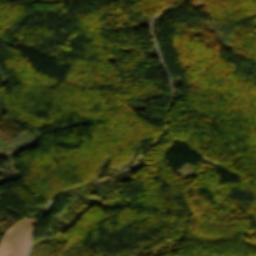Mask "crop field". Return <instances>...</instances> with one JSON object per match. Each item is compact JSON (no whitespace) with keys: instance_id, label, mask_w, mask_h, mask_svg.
<instances>
[{"instance_id":"crop-field-1","label":"crop field","mask_w":256,"mask_h":256,"mask_svg":"<svg viewBox=\"0 0 256 256\" xmlns=\"http://www.w3.org/2000/svg\"><path fill=\"white\" fill-rule=\"evenodd\" d=\"M35 220L24 218L14 223L0 242V256H24Z\"/></svg>"}]
</instances>
